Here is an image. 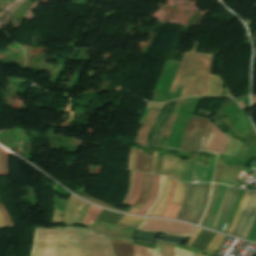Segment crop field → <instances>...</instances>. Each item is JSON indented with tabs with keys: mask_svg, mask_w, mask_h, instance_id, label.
I'll return each mask as SVG.
<instances>
[{
	"mask_svg": "<svg viewBox=\"0 0 256 256\" xmlns=\"http://www.w3.org/2000/svg\"><path fill=\"white\" fill-rule=\"evenodd\" d=\"M67 248L64 249L63 246ZM31 256H114L109 237L81 227L35 226Z\"/></svg>",
	"mask_w": 256,
	"mask_h": 256,
	"instance_id": "1",
	"label": "crop field"
},
{
	"mask_svg": "<svg viewBox=\"0 0 256 256\" xmlns=\"http://www.w3.org/2000/svg\"><path fill=\"white\" fill-rule=\"evenodd\" d=\"M197 44L184 54L169 91L174 93L177 86H181L184 89L180 97L219 96L224 83L219 76L210 75L213 55L196 53Z\"/></svg>",
	"mask_w": 256,
	"mask_h": 256,
	"instance_id": "2",
	"label": "crop field"
},
{
	"mask_svg": "<svg viewBox=\"0 0 256 256\" xmlns=\"http://www.w3.org/2000/svg\"><path fill=\"white\" fill-rule=\"evenodd\" d=\"M211 184H186L183 200L176 219L199 223L208 202Z\"/></svg>",
	"mask_w": 256,
	"mask_h": 256,
	"instance_id": "3",
	"label": "crop field"
},
{
	"mask_svg": "<svg viewBox=\"0 0 256 256\" xmlns=\"http://www.w3.org/2000/svg\"><path fill=\"white\" fill-rule=\"evenodd\" d=\"M194 228L192 225L181 222L147 218L139 229L190 236Z\"/></svg>",
	"mask_w": 256,
	"mask_h": 256,
	"instance_id": "4",
	"label": "crop field"
},
{
	"mask_svg": "<svg viewBox=\"0 0 256 256\" xmlns=\"http://www.w3.org/2000/svg\"><path fill=\"white\" fill-rule=\"evenodd\" d=\"M250 193V192H249ZM256 215V192H251L242 210L233 236L246 238L252 221Z\"/></svg>",
	"mask_w": 256,
	"mask_h": 256,
	"instance_id": "5",
	"label": "crop field"
},
{
	"mask_svg": "<svg viewBox=\"0 0 256 256\" xmlns=\"http://www.w3.org/2000/svg\"><path fill=\"white\" fill-rule=\"evenodd\" d=\"M239 189L228 187L227 191L225 193L224 199L221 203V206L219 208V211L217 213L216 220L212 226V229H215L217 231H222L227 218L229 216V213L232 209L234 200L236 198L237 192Z\"/></svg>",
	"mask_w": 256,
	"mask_h": 256,
	"instance_id": "6",
	"label": "crop field"
},
{
	"mask_svg": "<svg viewBox=\"0 0 256 256\" xmlns=\"http://www.w3.org/2000/svg\"><path fill=\"white\" fill-rule=\"evenodd\" d=\"M228 137V135L223 134L222 131L214 124L210 132L205 150L222 154Z\"/></svg>",
	"mask_w": 256,
	"mask_h": 256,
	"instance_id": "7",
	"label": "crop field"
},
{
	"mask_svg": "<svg viewBox=\"0 0 256 256\" xmlns=\"http://www.w3.org/2000/svg\"><path fill=\"white\" fill-rule=\"evenodd\" d=\"M148 109L149 108L146 109V111L140 121V124H141L144 116L146 115ZM157 113H158V110L150 108L146 117L144 118V120L138 130V133L136 135V140L134 142V143L138 144L139 147H144L147 131H148L152 121L154 120L155 116L157 115Z\"/></svg>",
	"mask_w": 256,
	"mask_h": 256,
	"instance_id": "8",
	"label": "crop field"
},
{
	"mask_svg": "<svg viewBox=\"0 0 256 256\" xmlns=\"http://www.w3.org/2000/svg\"><path fill=\"white\" fill-rule=\"evenodd\" d=\"M143 175H144V173L135 172L134 182H133V190H132L130 199L126 203L127 205L133 206V204L139 198L140 192H141L142 181H143Z\"/></svg>",
	"mask_w": 256,
	"mask_h": 256,
	"instance_id": "9",
	"label": "crop field"
},
{
	"mask_svg": "<svg viewBox=\"0 0 256 256\" xmlns=\"http://www.w3.org/2000/svg\"><path fill=\"white\" fill-rule=\"evenodd\" d=\"M172 182H173V180L168 178L166 193H165L163 199L161 200V202L159 203V205L157 206V208L151 214V216H157V217H161L162 216V214H163V212H164V210H165V208L167 206L168 196H169V192L171 190Z\"/></svg>",
	"mask_w": 256,
	"mask_h": 256,
	"instance_id": "10",
	"label": "crop field"
},
{
	"mask_svg": "<svg viewBox=\"0 0 256 256\" xmlns=\"http://www.w3.org/2000/svg\"><path fill=\"white\" fill-rule=\"evenodd\" d=\"M166 180L167 177L165 176H160V183H159V192L158 195L155 199V201L153 202V204L149 207V209L145 212L144 215L149 216L152 211L156 208V206L158 205V203L160 202V200L162 199L164 193H165V188H166Z\"/></svg>",
	"mask_w": 256,
	"mask_h": 256,
	"instance_id": "11",
	"label": "crop field"
},
{
	"mask_svg": "<svg viewBox=\"0 0 256 256\" xmlns=\"http://www.w3.org/2000/svg\"><path fill=\"white\" fill-rule=\"evenodd\" d=\"M155 243H156V249L145 248V247H141L133 244L134 250H135V256H159L158 242H155Z\"/></svg>",
	"mask_w": 256,
	"mask_h": 256,
	"instance_id": "12",
	"label": "crop field"
},
{
	"mask_svg": "<svg viewBox=\"0 0 256 256\" xmlns=\"http://www.w3.org/2000/svg\"><path fill=\"white\" fill-rule=\"evenodd\" d=\"M241 145H242V142H239L233 139L232 137H229V140L227 142V145L223 154L236 157Z\"/></svg>",
	"mask_w": 256,
	"mask_h": 256,
	"instance_id": "13",
	"label": "crop field"
},
{
	"mask_svg": "<svg viewBox=\"0 0 256 256\" xmlns=\"http://www.w3.org/2000/svg\"><path fill=\"white\" fill-rule=\"evenodd\" d=\"M158 182H159V176L154 175L153 178V186H152V192H151V196L149 201L147 202V204L137 213L139 215H143L144 212L148 209V207L152 204V202L154 201L156 195H157V191H158Z\"/></svg>",
	"mask_w": 256,
	"mask_h": 256,
	"instance_id": "14",
	"label": "crop field"
},
{
	"mask_svg": "<svg viewBox=\"0 0 256 256\" xmlns=\"http://www.w3.org/2000/svg\"><path fill=\"white\" fill-rule=\"evenodd\" d=\"M224 239L225 236L216 233V235L211 240L209 246L206 248L205 252L215 254V252L217 251V249L219 248Z\"/></svg>",
	"mask_w": 256,
	"mask_h": 256,
	"instance_id": "15",
	"label": "crop field"
},
{
	"mask_svg": "<svg viewBox=\"0 0 256 256\" xmlns=\"http://www.w3.org/2000/svg\"><path fill=\"white\" fill-rule=\"evenodd\" d=\"M174 183H175V181L173 182V186H174ZM173 186H172L171 195H170L169 201H168L169 204H168V206H167V208H166V210H165V212H164V214L162 216V217L171 218V219L175 218V216L177 214V211H178V209L180 207L179 205L170 204V201H171V198H172V194H173V190H174Z\"/></svg>",
	"mask_w": 256,
	"mask_h": 256,
	"instance_id": "16",
	"label": "crop field"
},
{
	"mask_svg": "<svg viewBox=\"0 0 256 256\" xmlns=\"http://www.w3.org/2000/svg\"><path fill=\"white\" fill-rule=\"evenodd\" d=\"M217 188H218V185H216V184H213V185H212L210 202H209L207 211H206V213H205V216H204L202 222L200 223V225H202V226L205 225V223H206V221H207V219H208V217H209V214H210V212H211V209H212V207H213V204H214V202H215V200H216Z\"/></svg>",
	"mask_w": 256,
	"mask_h": 256,
	"instance_id": "17",
	"label": "crop field"
},
{
	"mask_svg": "<svg viewBox=\"0 0 256 256\" xmlns=\"http://www.w3.org/2000/svg\"><path fill=\"white\" fill-rule=\"evenodd\" d=\"M184 186H185L184 183H181V182H178V181L176 182V185H175L176 188H175V191H174V196H173L172 203L180 205L182 195H183V191H184Z\"/></svg>",
	"mask_w": 256,
	"mask_h": 256,
	"instance_id": "18",
	"label": "crop field"
},
{
	"mask_svg": "<svg viewBox=\"0 0 256 256\" xmlns=\"http://www.w3.org/2000/svg\"><path fill=\"white\" fill-rule=\"evenodd\" d=\"M101 210H102L101 208L91 206L83 224H85L87 226L93 224L95 218L101 212Z\"/></svg>",
	"mask_w": 256,
	"mask_h": 256,
	"instance_id": "19",
	"label": "crop field"
},
{
	"mask_svg": "<svg viewBox=\"0 0 256 256\" xmlns=\"http://www.w3.org/2000/svg\"><path fill=\"white\" fill-rule=\"evenodd\" d=\"M4 151L0 149V175L8 174V153Z\"/></svg>",
	"mask_w": 256,
	"mask_h": 256,
	"instance_id": "20",
	"label": "crop field"
},
{
	"mask_svg": "<svg viewBox=\"0 0 256 256\" xmlns=\"http://www.w3.org/2000/svg\"><path fill=\"white\" fill-rule=\"evenodd\" d=\"M248 195H249V192L246 191L245 194H244V196H243V199H242V201H241V203H240V206H239V208H238V210H237V212H236V214H235V216H234L233 223H232V225H231V227H230V229H229V232H228L229 234H232V232H233V230H234V228H235V226H236V223H237V221H238V218H239V215H240V213H241L242 207H243V205H244V203H245V201H246Z\"/></svg>",
	"mask_w": 256,
	"mask_h": 256,
	"instance_id": "21",
	"label": "crop field"
},
{
	"mask_svg": "<svg viewBox=\"0 0 256 256\" xmlns=\"http://www.w3.org/2000/svg\"><path fill=\"white\" fill-rule=\"evenodd\" d=\"M144 218L125 215L119 222L125 224L140 225Z\"/></svg>",
	"mask_w": 256,
	"mask_h": 256,
	"instance_id": "22",
	"label": "crop field"
},
{
	"mask_svg": "<svg viewBox=\"0 0 256 256\" xmlns=\"http://www.w3.org/2000/svg\"><path fill=\"white\" fill-rule=\"evenodd\" d=\"M246 240L256 242V217H255L254 222L250 228V231H249V234H248Z\"/></svg>",
	"mask_w": 256,
	"mask_h": 256,
	"instance_id": "23",
	"label": "crop field"
},
{
	"mask_svg": "<svg viewBox=\"0 0 256 256\" xmlns=\"http://www.w3.org/2000/svg\"><path fill=\"white\" fill-rule=\"evenodd\" d=\"M213 124H214V123L209 122V124H208V126H207V128H206V130H205V132H204V134H203L202 141H201V144H200V147H199V148H202V149L205 148L206 141H207L209 132H210V130H211Z\"/></svg>",
	"mask_w": 256,
	"mask_h": 256,
	"instance_id": "24",
	"label": "crop field"
},
{
	"mask_svg": "<svg viewBox=\"0 0 256 256\" xmlns=\"http://www.w3.org/2000/svg\"><path fill=\"white\" fill-rule=\"evenodd\" d=\"M176 250V256H195V252L183 249V248H178L175 247Z\"/></svg>",
	"mask_w": 256,
	"mask_h": 256,
	"instance_id": "25",
	"label": "crop field"
},
{
	"mask_svg": "<svg viewBox=\"0 0 256 256\" xmlns=\"http://www.w3.org/2000/svg\"><path fill=\"white\" fill-rule=\"evenodd\" d=\"M0 211H1L2 215H3V217L5 218V220L7 221L9 227L13 226L14 224L11 221V219H10L9 215L7 214L6 210L4 209L2 203H0Z\"/></svg>",
	"mask_w": 256,
	"mask_h": 256,
	"instance_id": "26",
	"label": "crop field"
},
{
	"mask_svg": "<svg viewBox=\"0 0 256 256\" xmlns=\"http://www.w3.org/2000/svg\"><path fill=\"white\" fill-rule=\"evenodd\" d=\"M84 204H85V201L81 200V202L79 203L78 208H77V210L75 212L72 224H76L77 218H78V214H79L80 210L82 209V207L84 206Z\"/></svg>",
	"mask_w": 256,
	"mask_h": 256,
	"instance_id": "27",
	"label": "crop field"
},
{
	"mask_svg": "<svg viewBox=\"0 0 256 256\" xmlns=\"http://www.w3.org/2000/svg\"><path fill=\"white\" fill-rule=\"evenodd\" d=\"M61 217H62V213L57 211V210H55L52 222H60L61 221Z\"/></svg>",
	"mask_w": 256,
	"mask_h": 256,
	"instance_id": "28",
	"label": "crop field"
},
{
	"mask_svg": "<svg viewBox=\"0 0 256 256\" xmlns=\"http://www.w3.org/2000/svg\"><path fill=\"white\" fill-rule=\"evenodd\" d=\"M166 248H167V256H175L173 245L166 243Z\"/></svg>",
	"mask_w": 256,
	"mask_h": 256,
	"instance_id": "29",
	"label": "crop field"
},
{
	"mask_svg": "<svg viewBox=\"0 0 256 256\" xmlns=\"http://www.w3.org/2000/svg\"><path fill=\"white\" fill-rule=\"evenodd\" d=\"M201 231L200 228H198L196 230V232L194 233V235L192 236V238L190 239L189 243L187 244V247H190V245L192 244V242L195 240V238L197 237V235L199 234V232Z\"/></svg>",
	"mask_w": 256,
	"mask_h": 256,
	"instance_id": "30",
	"label": "crop field"
},
{
	"mask_svg": "<svg viewBox=\"0 0 256 256\" xmlns=\"http://www.w3.org/2000/svg\"><path fill=\"white\" fill-rule=\"evenodd\" d=\"M6 222L4 221L2 215L0 214V227L6 226Z\"/></svg>",
	"mask_w": 256,
	"mask_h": 256,
	"instance_id": "31",
	"label": "crop field"
},
{
	"mask_svg": "<svg viewBox=\"0 0 256 256\" xmlns=\"http://www.w3.org/2000/svg\"><path fill=\"white\" fill-rule=\"evenodd\" d=\"M138 211H139V209L132 207L131 210L129 211V213L136 214Z\"/></svg>",
	"mask_w": 256,
	"mask_h": 256,
	"instance_id": "32",
	"label": "crop field"
},
{
	"mask_svg": "<svg viewBox=\"0 0 256 256\" xmlns=\"http://www.w3.org/2000/svg\"><path fill=\"white\" fill-rule=\"evenodd\" d=\"M256 105V96L253 97V100H252V107Z\"/></svg>",
	"mask_w": 256,
	"mask_h": 256,
	"instance_id": "33",
	"label": "crop field"
}]
</instances>
